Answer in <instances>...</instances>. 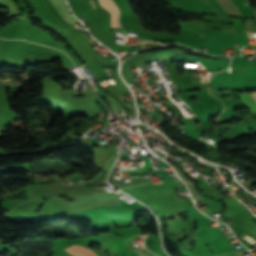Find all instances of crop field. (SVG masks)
Instances as JSON below:
<instances>
[{"mask_svg": "<svg viewBox=\"0 0 256 256\" xmlns=\"http://www.w3.org/2000/svg\"><path fill=\"white\" fill-rule=\"evenodd\" d=\"M50 1L67 22L71 24L77 22V19L71 14L65 0H50Z\"/></svg>", "mask_w": 256, "mask_h": 256, "instance_id": "8a807250", "label": "crop field"}, {"mask_svg": "<svg viewBox=\"0 0 256 256\" xmlns=\"http://www.w3.org/2000/svg\"><path fill=\"white\" fill-rule=\"evenodd\" d=\"M99 4H100V6H102L105 9L110 11V13H111V27L120 28V26L118 24L119 13L117 11V8H116L115 4L112 2V0H99Z\"/></svg>", "mask_w": 256, "mask_h": 256, "instance_id": "ac0d7876", "label": "crop field"}, {"mask_svg": "<svg viewBox=\"0 0 256 256\" xmlns=\"http://www.w3.org/2000/svg\"><path fill=\"white\" fill-rule=\"evenodd\" d=\"M64 250H66L67 252L71 253L74 256H98L95 252L77 244H74Z\"/></svg>", "mask_w": 256, "mask_h": 256, "instance_id": "34b2d1b8", "label": "crop field"}, {"mask_svg": "<svg viewBox=\"0 0 256 256\" xmlns=\"http://www.w3.org/2000/svg\"><path fill=\"white\" fill-rule=\"evenodd\" d=\"M244 102L246 108L250 109L252 112V115H256V93H253V98L252 94H237ZM251 115V116H252Z\"/></svg>", "mask_w": 256, "mask_h": 256, "instance_id": "412701ff", "label": "crop field"}, {"mask_svg": "<svg viewBox=\"0 0 256 256\" xmlns=\"http://www.w3.org/2000/svg\"><path fill=\"white\" fill-rule=\"evenodd\" d=\"M55 256V255H54Z\"/></svg>", "mask_w": 256, "mask_h": 256, "instance_id": "f4fd0767", "label": "crop field"}]
</instances>
